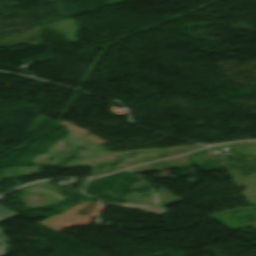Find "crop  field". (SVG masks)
Wrapping results in <instances>:
<instances>
[{
  "mask_svg": "<svg viewBox=\"0 0 256 256\" xmlns=\"http://www.w3.org/2000/svg\"><path fill=\"white\" fill-rule=\"evenodd\" d=\"M18 213H15L5 207L0 206V222L4 221L10 217H13L15 215H17ZM7 240L4 237V235L2 234V232L0 231V256H3L6 254L5 252V248L9 247L7 245Z\"/></svg>",
  "mask_w": 256,
  "mask_h": 256,
  "instance_id": "8a807250",
  "label": "crop field"
}]
</instances>
